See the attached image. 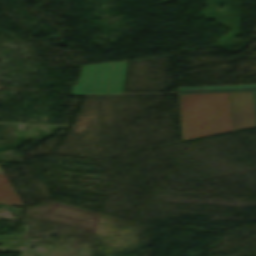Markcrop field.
I'll use <instances>...</instances> for the list:
<instances>
[{
    "mask_svg": "<svg viewBox=\"0 0 256 256\" xmlns=\"http://www.w3.org/2000/svg\"><path fill=\"white\" fill-rule=\"evenodd\" d=\"M178 91L182 140L256 125V84Z\"/></svg>",
    "mask_w": 256,
    "mask_h": 256,
    "instance_id": "crop-field-1",
    "label": "crop field"
},
{
    "mask_svg": "<svg viewBox=\"0 0 256 256\" xmlns=\"http://www.w3.org/2000/svg\"><path fill=\"white\" fill-rule=\"evenodd\" d=\"M127 61L85 65L72 94L121 93Z\"/></svg>",
    "mask_w": 256,
    "mask_h": 256,
    "instance_id": "crop-field-2",
    "label": "crop field"
},
{
    "mask_svg": "<svg viewBox=\"0 0 256 256\" xmlns=\"http://www.w3.org/2000/svg\"><path fill=\"white\" fill-rule=\"evenodd\" d=\"M0 205L24 206L0 169Z\"/></svg>",
    "mask_w": 256,
    "mask_h": 256,
    "instance_id": "crop-field-3",
    "label": "crop field"
}]
</instances>
